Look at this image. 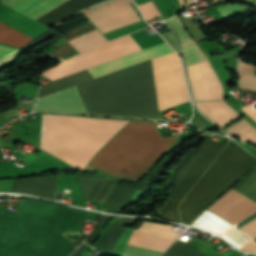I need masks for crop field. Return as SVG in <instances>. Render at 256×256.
<instances>
[{
    "instance_id": "crop-field-35",
    "label": "crop field",
    "mask_w": 256,
    "mask_h": 256,
    "mask_svg": "<svg viewBox=\"0 0 256 256\" xmlns=\"http://www.w3.org/2000/svg\"><path fill=\"white\" fill-rule=\"evenodd\" d=\"M93 29H95V27L91 23H89V24H87L85 26H82V27L77 28V29H75L73 31H70V32H68L66 34H63L62 37L65 38L68 41V40L73 39V38H75V37H77L79 35H82V34H84L86 32H89V31H91Z\"/></svg>"
},
{
    "instance_id": "crop-field-12",
    "label": "crop field",
    "mask_w": 256,
    "mask_h": 256,
    "mask_svg": "<svg viewBox=\"0 0 256 256\" xmlns=\"http://www.w3.org/2000/svg\"><path fill=\"white\" fill-rule=\"evenodd\" d=\"M170 52H173V50L166 44V42H164L156 46L144 49L142 51L88 69V71L93 76V78H97L130 67L132 65L162 56Z\"/></svg>"
},
{
    "instance_id": "crop-field-33",
    "label": "crop field",
    "mask_w": 256,
    "mask_h": 256,
    "mask_svg": "<svg viewBox=\"0 0 256 256\" xmlns=\"http://www.w3.org/2000/svg\"><path fill=\"white\" fill-rule=\"evenodd\" d=\"M39 1L40 0H3L2 3L21 13Z\"/></svg>"
},
{
    "instance_id": "crop-field-4",
    "label": "crop field",
    "mask_w": 256,
    "mask_h": 256,
    "mask_svg": "<svg viewBox=\"0 0 256 256\" xmlns=\"http://www.w3.org/2000/svg\"><path fill=\"white\" fill-rule=\"evenodd\" d=\"M128 122L43 114L40 149L83 170L93 154Z\"/></svg>"
},
{
    "instance_id": "crop-field-13",
    "label": "crop field",
    "mask_w": 256,
    "mask_h": 256,
    "mask_svg": "<svg viewBox=\"0 0 256 256\" xmlns=\"http://www.w3.org/2000/svg\"><path fill=\"white\" fill-rule=\"evenodd\" d=\"M34 111H65L88 114L76 87L39 98Z\"/></svg>"
},
{
    "instance_id": "crop-field-24",
    "label": "crop field",
    "mask_w": 256,
    "mask_h": 256,
    "mask_svg": "<svg viewBox=\"0 0 256 256\" xmlns=\"http://www.w3.org/2000/svg\"><path fill=\"white\" fill-rule=\"evenodd\" d=\"M172 227L171 225L144 221L138 230L173 242L179 234L171 231Z\"/></svg>"
},
{
    "instance_id": "crop-field-2",
    "label": "crop field",
    "mask_w": 256,
    "mask_h": 256,
    "mask_svg": "<svg viewBox=\"0 0 256 256\" xmlns=\"http://www.w3.org/2000/svg\"><path fill=\"white\" fill-rule=\"evenodd\" d=\"M76 87L88 112L160 117L151 60Z\"/></svg>"
},
{
    "instance_id": "crop-field-25",
    "label": "crop field",
    "mask_w": 256,
    "mask_h": 256,
    "mask_svg": "<svg viewBox=\"0 0 256 256\" xmlns=\"http://www.w3.org/2000/svg\"><path fill=\"white\" fill-rule=\"evenodd\" d=\"M135 191L116 186L110 198L103 207V210L116 211L121 206L129 203Z\"/></svg>"
},
{
    "instance_id": "crop-field-28",
    "label": "crop field",
    "mask_w": 256,
    "mask_h": 256,
    "mask_svg": "<svg viewBox=\"0 0 256 256\" xmlns=\"http://www.w3.org/2000/svg\"><path fill=\"white\" fill-rule=\"evenodd\" d=\"M226 131L256 145V130L244 119L226 129Z\"/></svg>"
},
{
    "instance_id": "crop-field-39",
    "label": "crop field",
    "mask_w": 256,
    "mask_h": 256,
    "mask_svg": "<svg viewBox=\"0 0 256 256\" xmlns=\"http://www.w3.org/2000/svg\"><path fill=\"white\" fill-rule=\"evenodd\" d=\"M22 53L23 52H21V51H15V52L11 53L10 55L0 59V67L9 63L10 61L14 60L15 58H17Z\"/></svg>"
},
{
    "instance_id": "crop-field-29",
    "label": "crop field",
    "mask_w": 256,
    "mask_h": 256,
    "mask_svg": "<svg viewBox=\"0 0 256 256\" xmlns=\"http://www.w3.org/2000/svg\"><path fill=\"white\" fill-rule=\"evenodd\" d=\"M181 49L187 66L208 60L193 40L181 44Z\"/></svg>"
},
{
    "instance_id": "crop-field-44",
    "label": "crop field",
    "mask_w": 256,
    "mask_h": 256,
    "mask_svg": "<svg viewBox=\"0 0 256 256\" xmlns=\"http://www.w3.org/2000/svg\"><path fill=\"white\" fill-rule=\"evenodd\" d=\"M250 1V0H249Z\"/></svg>"
},
{
    "instance_id": "crop-field-30",
    "label": "crop field",
    "mask_w": 256,
    "mask_h": 256,
    "mask_svg": "<svg viewBox=\"0 0 256 256\" xmlns=\"http://www.w3.org/2000/svg\"><path fill=\"white\" fill-rule=\"evenodd\" d=\"M163 256H204V255L177 240V242Z\"/></svg>"
},
{
    "instance_id": "crop-field-11",
    "label": "crop field",
    "mask_w": 256,
    "mask_h": 256,
    "mask_svg": "<svg viewBox=\"0 0 256 256\" xmlns=\"http://www.w3.org/2000/svg\"><path fill=\"white\" fill-rule=\"evenodd\" d=\"M209 210L236 224L244 217L256 211V203L235 187L220 198Z\"/></svg>"
},
{
    "instance_id": "crop-field-20",
    "label": "crop field",
    "mask_w": 256,
    "mask_h": 256,
    "mask_svg": "<svg viewBox=\"0 0 256 256\" xmlns=\"http://www.w3.org/2000/svg\"><path fill=\"white\" fill-rule=\"evenodd\" d=\"M128 244L165 252L171 242L134 230Z\"/></svg>"
},
{
    "instance_id": "crop-field-22",
    "label": "crop field",
    "mask_w": 256,
    "mask_h": 256,
    "mask_svg": "<svg viewBox=\"0 0 256 256\" xmlns=\"http://www.w3.org/2000/svg\"><path fill=\"white\" fill-rule=\"evenodd\" d=\"M107 40L102 36V34L97 30H93L89 33H86L82 36H79L69 43L79 52H83L92 47H95L99 44L106 42Z\"/></svg>"
},
{
    "instance_id": "crop-field-8",
    "label": "crop field",
    "mask_w": 256,
    "mask_h": 256,
    "mask_svg": "<svg viewBox=\"0 0 256 256\" xmlns=\"http://www.w3.org/2000/svg\"><path fill=\"white\" fill-rule=\"evenodd\" d=\"M131 0H114L84 12L87 18L102 32H107L137 21L139 17L127 3Z\"/></svg>"
},
{
    "instance_id": "crop-field-31",
    "label": "crop field",
    "mask_w": 256,
    "mask_h": 256,
    "mask_svg": "<svg viewBox=\"0 0 256 256\" xmlns=\"http://www.w3.org/2000/svg\"><path fill=\"white\" fill-rule=\"evenodd\" d=\"M162 252L127 245L122 256H161Z\"/></svg>"
},
{
    "instance_id": "crop-field-27",
    "label": "crop field",
    "mask_w": 256,
    "mask_h": 256,
    "mask_svg": "<svg viewBox=\"0 0 256 256\" xmlns=\"http://www.w3.org/2000/svg\"><path fill=\"white\" fill-rule=\"evenodd\" d=\"M256 65L246 62H239L238 74L240 76V88H250L256 90V76L254 72Z\"/></svg>"
},
{
    "instance_id": "crop-field-6",
    "label": "crop field",
    "mask_w": 256,
    "mask_h": 256,
    "mask_svg": "<svg viewBox=\"0 0 256 256\" xmlns=\"http://www.w3.org/2000/svg\"><path fill=\"white\" fill-rule=\"evenodd\" d=\"M225 137L222 143L207 140L202 147L190 152L174 171L173 187L165 206L157 214L164 218L180 222L176 211L179 202L195 185L214 159L228 143Z\"/></svg>"
},
{
    "instance_id": "crop-field-43",
    "label": "crop field",
    "mask_w": 256,
    "mask_h": 256,
    "mask_svg": "<svg viewBox=\"0 0 256 256\" xmlns=\"http://www.w3.org/2000/svg\"><path fill=\"white\" fill-rule=\"evenodd\" d=\"M181 7H185L187 4H189L192 0H179Z\"/></svg>"
},
{
    "instance_id": "crop-field-36",
    "label": "crop field",
    "mask_w": 256,
    "mask_h": 256,
    "mask_svg": "<svg viewBox=\"0 0 256 256\" xmlns=\"http://www.w3.org/2000/svg\"><path fill=\"white\" fill-rule=\"evenodd\" d=\"M245 7L246 5L237 4L218 8L217 10L220 11L226 18H228L234 15L235 13L239 12L240 10L244 9Z\"/></svg>"
},
{
    "instance_id": "crop-field-9",
    "label": "crop field",
    "mask_w": 256,
    "mask_h": 256,
    "mask_svg": "<svg viewBox=\"0 0 256 256\" xmlns=\"http://www.w3.org/2000/svg\"><path fill=\"white\" fill-rule=\"evenodd\" d=\"M49 1L51 0H43L40 3L36 4L35 6H33L32 8H30L29 10L25 11L23 14L29 15L31 12L35 11L36 9L43 6ZM66 1L68 0H53L50 3L46 4L45 6H43L42 8L35 11L34 13L30 14L29 17L36 20L42 17L43 15L47 14L48 12L52 11L56 7L60 6L61 4L65 3ZM102 1L104 0H70L36 21L51 28L57 23L66 19L67 17L89 6L98 4Z\"/></svg>"
},
{
    "instance_id": "crop-field-23",
    "label": "crop field",
    "mask_w": 256,
    "mask_h": 256,
    "mask_svg": "<svg viewBox=\"0 0 256 256\" xmlns=\"http://www.w3.org/2000/svg\"><path fill=\"white\" fill-rule=\"evenodd\" d=\"M10 28V30H7ZM33 38L5 25L4 23L0 22V42L6 43L18 48L26 45L30 42Z\"/></svg>"
},
{
    "instance_id": "crop-field-1",
    "label": "crop field",
    "mask_w": 256,
    "mask_h": 256,
    "mask_svg": "<svg viewBox=\"0 0 256 256\" xmlns=\"http://www.w3.org/2000/svg\"><path fill=\"white\" fill-rule=\"evenodd\" d=\"M98 214L22 198L17 212L0 207V256H68L80 243L63 237L80 232Z\"/></svg>"
},
{
    "instance_id": "crop-field-34",
    "label": "crop field",
    "mask_w": 256,
    "mask_h": 256,
    "mask_svg": "<svg viewBox=\"0 0 256 256\" xmlns=\"http://www.w3.org/2000/svg\"><path fill=\"white\" fill-rule=\"evenodd\" d=\"M168 20L170 21L171 25L176 30L181 43L192 40L190 35L188 34V32L184 29V26L182 25L178 15H176Z\"/></svg>"
},
{
    "instance_id": "crop-field-16",
    "label": "crop field",
    "mask_w": 256,
    "mask_h": 256,
    "mask_svg": "<svg viewBox=\"0 0 256 256\" xmlns=\"http://www.w3.org/2000/svg\"><path fill=\"white\" fill-rule=\"evenodd\" d=\"M87 199L105 203L117 185L102 177L77 176Z\"/></svg>"
},
{
    "instance_id": "crop-field-7",
    "label": "crop field",
    "mask_w": 256,
    "mask_h": 256,
    "mask_svg": "<svg viewBox=\"0 0 256 256\" xmlns=\"http://www.w3.org/2000/svg\"><path fill=\"white\" fill-rule=\"evenodd\" d=\"M159 111L189 101L180 62L175 52L152 60Z\"/></svg>"
},
{
    "instance_id": "crop-field-15",
    "label": "crop field",
    "mask_w": 256,
    "mask_h": 256,
    "mask_svg": "<svg viewBox=\"0 0 256 256\" xmlns=\"http://www.w3.org/2000/svg\"><path fill=\"white\" fill-rule=\"evenodd\" d=\"M0 21L9 26L31 36L36 37L42 32L46 31L47 27L19 14L9 7L0 3Z\"/></svg>"
},
{
    "instance_id": "crop-field-37",
    "label": "crop field",
    "mask_w": 256,
    "mask_h": 256,
    "mask_svg": "<svg viewBox=\"0 0 256 256\" xmlns=\"http://www.w3.org/2000/svg\"><path fill=\"white\" fill-rule=\"evenodd\" d=\"M253 239H256V218L238 228ZM256 241V240H255Z\"/></svg>"
},
{
    "instance_id": "crop-field-41",
    "label": "crop field",
    "mask_w": 256,
    "mask_h": 256,
    "mask_svg": "<svg viewBox=\"0 0 256 256\" xmlns=\"http://www.w3.org/2000/svg\"><path fill=\"white\" fill-rule=\"evenodd\" d=\"M194 124L200 127H211L206 122H204L202 119H200L197 115L195 116Z\"/></svg>"
},
{
    "instance_id": "crop-field-19",
    "label": "crop field",
    "mask_w": 256,
    "mask_h": 256,
    "mask_svg": "<svg viewBox=\"0 0 256 256\" xmlns=\"http://www.w3.org/2000/svg\"><path fill=\"white\" fill-rule=\"evenodd\" d=\"M191 225L215 232L218 235L233 226L208 210L198 216Z\"/></svg>"
},
{
    "instance_id": "crop-field-38",
    "label": "crop field",
    "mask_w": 256,
    "mask_h": 256,
    "mask_svg": "<svg viewBox=\"0 0 256 256\" xmlns=\"http://www.w3.org/2000/svg\"><path fill=\"white\" fill-rule=\"evenodd\" d=\"M109 216L104 215V217L101 219V221L99 222L97 228L95 229V231L93 232L92 236L86 241L88 243L91 244V242L99 235L101 229L103 228V226L105 225L106 221L109 219Z\"/></svg>"
},
{
    "instance_id": "crop-field-26",
    "label": "crop field",
    "mask_w": 256,
    "mask_h": 256,
    "mask_svg": "<svg viewBox=\"0 0 256 256\" xmlns=\"http://www.w3.org/2000/svg\"><path fill=\"white\" fill-rule=\"evenodd\" d=\"M124 229L125 226L112 223L106 231L104 237L95 245V247L105 251L113 252Z\"/></svg>"
},
{
    "instance_id": "crop-field-10",
    "label": "crop field",
    "mask_w": 256,
    "mask_h": 256,
    "mask_svg": "<svg viewBox=\"0 0 256 256\" xmlns=\"http://www.w3.org/2000/svg\"><path fill=\"white\" fill-rule=\"evenodd\" d=\"M195 101L222 99L221 84L209 61L188 66Z\"/></svg>"
},
{
    "instance_id": "crop-field-32",
    "label": "crop field",
    "mask_w": 256,
    "mask_h": 256,
    "mask_svg": "<svg viewBox=\"0 0 256 256\" xmlns=\"http://www.w3.org/2000/svg\"><path fill=\"white\" fill-rule=\"evenodd\" d=\"M59 48V47H58ZM78 54V52L67 42L59 49L53 51L52 53L48 54L50 57L65 60L69 57Z\"/></svg>"
},
{
    "instance_id": "crop-field-3",
    "label": "crop field",
    "mask_w": 256,
    "mask_h": 256,
    "mask_svg": "<svg viewBox=\"0 0 256 256\" xmlns=\"http://www.w3.org/2000/svg\"><path fill=\"white\" fill-rule=\"evenodd\" d=\"M177 139H162L155 122L131 121L105 144L86 169L137 180Z\"/></svg>"
},
{
    "instance_id": "crop-field-14",
    "label": "crop field",
    "mask_w": 256,
    "mask_h": 256,
    "mask_svg": "<svg viewBox=\"0 0 256 256\" xmlns=\"http://www.w3.org/2000/svg\"><path fill=\"white\" fill-rule=\"evenodd\" d=\"M58 176L14 180L13 192L39 195L54 199Z\"/></svg>"
},
{
    "instance_id": "crop-field-17",
    "label": "crop field",
    "mask_w": 256,
    "mask_h": 256,
    "mask_svg": "<svg viewBox=\"0 0 256 256\" xmlns=\"http://www.w3.org/2000/svg\"><path fill=\"white\" fill-rule=\"evenodd\" d=\"M196 104L206 116L220 127L240 116L224 100L196 102Z\"/></svg>"
},
{
    "instance_id": "crop-field-40",
    "label": "crop field",
    "mask_w": 256,
    "mask_h": 256,
    "mask_svg": "<svg viewBox=\"0 0 256 256\" xmlns=\"http://www.w3.org/2000/svg\"><path fill=\"white\" fill-rule=\"evenodd\" d=\"M14 50H17V49L0 44V58H2L6 54H8Z\"/></svg>"
},
{
    "instance_id": "crop-field-18",
    "label": "crop field",
    "mask_w": 256,
    "mask_h": 256,
    "mask_svg": "<svg viewBox=\"0 0 256 256\" xmlns=\"http://www.w3.org/2000/svg\"><path fill=\"white\" fill-rule=\"evenodd\" d=\"M92 79V76L88 73L87 70H85L70 75L68 77L47 83L41 86L38 98Z\"/></svg>"
},
{
    "instance_id": "crop-field-5",
    "label": "crop field",
    "mask_w": 256,
    "mask_h": 256,
    "mask_svg": "<svg viewBox=\"0 0 256 256\" xmlns=\"http://www.w3.org/2000/svg\"><path fill=\"white\" fill-rule=\"evenodd\" d=\"M256 166V160L230 141L209 170L179 204L182 223L190 225L216 198Z\"/></svg>"
},
{
    "instance_id": "crop-field-42",
    "label": "crop field",
    "mask_w": 256,
    "mask_h": 256,
    "mask_svg": "<svg viewBox=\"0 0 256 256\" xmlns=\"http://www.w3.org/2000/svg\"><path fill=\"white\" fill-rule=\"evenodd\" d=\"M88 246H84L83 244L71 255V256H78L81 254Z\"/></svg>"
},
{
    "instance_id": "crop-field-21",
    "label": "crop field",
    "mask_w": 256,
    "mask_h": 256,
    "mask_svg": "<svg viewBox=\"0 0 256 256\" xmlns=\"http://www.w3.org/2000/svg\"><path fill=\"white\" fill-rule=\"evenodd\" d=\"M221 236L240 250L256 253V242L234 227L226 230Z\"/></svg>"
}]
</instances>
